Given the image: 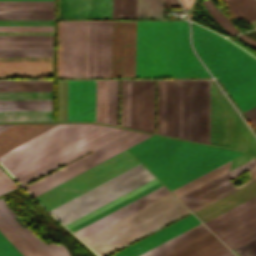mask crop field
<instances>
[{
	"label": "crop field",
	"instance_id": "crop-field-1",
	"mask_svg": "<svg viewBox=\"0 0 256 256\" xmlns=\"http://www.w3.org/2000/svg\"><path fill=\"white\" fill-rule=\"evenodd\" d=\"M109 129L91 124H59L0 155V162L17 179ZM150 136L113 128L17 180L24 185L93 151L25 186L35 197ZM138 164L126 150L35 198L49 211Z\"/></svg>",
	"mask_w": 256,
	"mask_h": 256
},
{
	"label": "crop field",
	"instance_id": "crop-field-2",
	"mask_svg": "<svg viewBox=\"0 0 256 256\" xmlns=\"http://www.w3.org/2000/svg\"><path fill=\"white\" fill-rule=\"evenodd\" d=\"M187 21H137L136 77L209 76L187 46Z\"/></svg>",
	"mask_w": 256,
	"mask_h": 256
},
{
	"label": "crop field",
	"instance_id": "crop-field-3",
	"mask_svg": "<svg viewBox=\"0 0 256 256\" xmlns=\"http://www.w3.org/2000/svg\"><path fill=\"white\" fill-rule=\"evenodd\" d=\"M129 150L170 191L241 154L156 136Z\"/></svg>",
	"mask_w": 256,
	"mask_h": 256
},
{
	"label": "crop field",
	"instance_id": "crop-field-4",
	"mask_svg": "<svg viewBox=\"0 0 256 256\" xmlns=\"http://www.w3.org/2000/svg\"><path fill=\"white\" fill-rule=\"evenodd\" d=\"M179 81H157V133L178 137ZM210 81H180L179 137L209 144Z\"/></svg>",
	"mask_w": 256,
	"mask_h": 256
},
{
	"label": "crop field",
	"instance_id": "crop-field-5",
	"mask_svg": "<svg viewBox=\"0 0 256 256\" xmlns=\"http://www.w3.org/2000/svg\"><path fill=\"white\" fill-rule=\"evenodd\" d=\"M190 44L212 74L218 77L242 112L256 106L254 57L192 22Z\"/></svg>",
	"mask_w": 256,
	"mask_h": 256
},
{
	"label": "crop field",
	"instance_id": "crop-field-6",
	"mask_svg": "<svg viewBox=\"0 0 256 256\" xmlns=\"http://www.w3.org/2000/svg\"><path fill=\"white\" fill-rule=\"evenodd\" d=\"M111 22H59L57 77H110Z\"/></svg>",
	"mask_w": 256,
	"mask_h": 256
},
{
	"label": "crop field",
	"instance_id": "crop-field-7",
	"mask_svg": "<svg viewBox=\"0 0 256 256\" xmlns=\"http://www.w3.org/2000/svg\"><path fill=\"white\" fill-rule=\"evenodd\" d=\"M186 212L170 194L82 241L103 256Z\"/></svg>",
	"mask_w": 256,
	"mask_h": 256
},
{
	"label": "crop field",
	"instance_id": "crop-field-8",
	"mask_svg": "<svg viewBox=\"0 0 256 256\" xmlns=\"http://www.w3.org/2000/svg\"><path fill=\"white\" fill-rule=\"evenodd\" d=\"M153 178L140 164L49 212L65 225Z\"/></svg>",
	"mask_w": 256,
	"mask_h": 256
},
{
	"label": "crop field",
	"instance_id": "crop-field-9",
	"mask_svg": "<svg viewBox=\"0 0 256 256\" xmlns=\"http://www.w3.org/2000/svg\"><path fill=\"white\" fill-rule=\"evenodd\" d=\"M210 144L256 155V139L211 81Z\"/></svg>",
	"mask_w": 256,
	"mask_h": 256
},
{
	"label": "crop field",
	"instance_id": "crop-field-10",
	"mask_svg": "<svg viewBox=\"0 0 256 256\" xmlns=\"http://www.w3.org/2000/svg\"><path fill=\"white\" fill-rule=\"evenodd\" d=\"M254 181H256V178L252 179L251 181L245 184H242L236 187L235 189L191 211L194 212ZM204 224L216 236H218L229 248H232V249H235L255 239L256 238V197Z\"/></svg>",
	"mask_w": 256,
	"mask_h": 256
},
{
	"label": "crop field",
	"instance_id": "crop-field-11",
	"mask_svg": "<svg viewBox=\"0 0 256 256\" xmlns=\"http://www.w3.org/2000/svg\"><path fill=\"white\" fill-rule=\"evenodd\" d=\"M120 126L154 133V81H122Z\"/></svg>",
	"mask_w": 256,
	"mask_h": 256
},
{
	"label": "crop field",
	"instance_id": "crop-field-12",
	"mask_svg": "<svg viewBox=\"0 0 256 256\" xmlns=\"http://www.w3.org/2000/svg\"><path fill=\"white\" fill-rule=\"evenodd\" d=\"M136 21L112 22L111 77H135Z\"/></svg>",
	"mask_w": 256,
	"mask_h": 256
},
{
	"label": "crop field",
	"instance_id": "crop-field-13",
	"mask_svg": "<svg viewBox=\"0 0 256 256\" xmlns=\"http://www.w3.org/2000/svg\"><path fill=\"white\" fill-rule=\"evenodd\" d=\"M247 171L251 179L256 177V158L228 172L226 175L231 180ZM226 175H223L178 199L191 210L235 188Z\"/></svg>",
	"mask_w": 256,
	"mask_h": 256
},
{
	"label": "crop field",
	"instance_id": "crop-field-14",
	"mask_svg": "<svg viewBox=\"0 0 256 256\" xmlns=\"http://www.w3.org/2000/svg\"><path fill=\"white\" fill-rule=\"evenodd\" d=\"M95 81H68V121H94Z\"/></svg>",
	"mask_w": 256,
	"mask_h": 256
},
{
	"label": "crop field",
	"instance_id": "crop-field-15",
	"mask_svg": "<svg viewBox=\"0 0 256 256\" xmlns=\"http://www.w3.org/2000/svg\"><path fill=\"white\" fill-rule=\"evenodd\" d=\"M168 194H170L169 191L163 186L133 201L132 203L104 216L103 218L77 230L76 232H74V234H76L82 240Z\"/></svg>",
	"mask_w": 256,
	"mask_h": 256
},
{
	"label": "crop field",
	"instance_id": "crop-field-16",
	"mask_svg": "<svg viewBox=\"0 0 256 256\" xmlns=\"http://www.w3.org/2000/svg\"><path fill=\"white\" fill-rule=\"evenodd\" d=\"M161 186L155 178L65 226L73 232Z\"/></svg>",
	"mask_w": 256,
	"mask_h": 256
},
{
	"label": "crop field",
	"instance_id": "crop-field-17",
	"mask_svg": "<svg viewBox=\"0 0 256 256\" xmlns=\"http://www.w3.org/2000/svg\"><path fill=\"white\" fill-rule=\"evenodd\" d=\"M199 223L191 214L112 256H137Z\"/></svg>",
	"mask_w": 256,
	"mask_h": 256
},
{
	"label": "crop field",
	"instance_id": "crop-field-18",
	"mask_svg": "<svg viewBox=\"0 0 256 256\" xmlns=\"http://www.w3.org/2000/svg\"><path fill=\"white\" fill-rule=\"evenodd\" d=\"M112 0H59V18H111Z\"/></svg>",
	"mask_w": 256,
	"mask_h": 256
},
{
	"label": "crop field",
	"instance_id": "crop-field-19",
	"mask_svg": "<svg viewBox=\"0 0 256 256\" xmlns=\"http://www.w3.org/2000/svg\"><path fill=\"white\" fill-rule=\"evenodd\" d=\"M0 214L41 256H70L63 245H45L31 229L20 226L14 219L16 214L8 208L3 198L0 199Z\"/></svg>",
	"mask_w": 256,
	"mask_h": 256
},
{
	"label": "crop field",
	"instance_id": "crop-field-20",
	"mask_svg": "<svg viewBox=\"0 0 256 256\" xmlns=\"http://www.w3.org/2000/svg\"><path fill=\"white\" fill-rule=\"evenodd\" d=\"M56 124L15 125L0 133V154Z\"/></svg>",
	"mask_w": 256,
	"mask_h": 256
},
{
	"label": "crop field",
	"instance_id": "crop-field-21",
	"mask_svg": "<svg viewBox=\"0 0 256 256\" xmlns=\"http://www.w3.org/2000/svg\"><path fill=\"white\" fill-rule=\"evenodd\" d=\"M208 233L201 223L139 256H165Z\"/></svg>",
	"mask_w": 256,
	"mask_h": 256
},
{
	"label": "crop field",
	"instance_id": "crop-field-22",
	"mask_svg": "<svg viewBox=\"0 0 256 256\" xmlns=\"http://www.w3.org/2000/svg\"><path fill=\"white\" fill-rule=\"evenodd\" d=\"M12 121H52V111L0 112V122Z\"/></svg>",
	"mask_w": 256,
	"mask_h": 256
},
{
	"label": "crop field",
	"instance_id": "crop-field-23",
	"mask_svg": "<svg viewBox=\"0 0 256 256\" xmlns=\"http://www.w3.org/2000/svg\"><path fill=\"white\" fill-rule=\"evenodd\" d=\"M0 232L24 255L39 256L35 250L0 215Z\"/></svg>",
	"mask_w": 256,
	"mask_h": 256
},
{
	"label": "crop field",
	"instance_id": "crop-field-24",
	"mask_svg": "<svg viewBox=\"0 0 256 256\" xmlns=\"http://www.w3.org/2000/svg\"><path fill=\"white\" fill-rule=\"evenodd\" d=\"M8 110H52V100L0 101V111Z\"/></svg>",
	"mask_w": 256,
	"mask_h": 256
},
{
	"label": "crop field",
	"instance_id": "crop-field-25",
	"mask_svg": "<svg viewBox=\"0 0 256 256\" xmlns=\"http://www.w3.org/2000/svg\"><path fill=\"white\" fill-rule=\"evenodd\" d=\"M231 166V161L200 176L199 178L171 191L177 198L192 191L193 189L209 182L210 180L228 172L229 168Z\"/></svg>",
	"mask_w": 256,
	"mask_h": 256
},
{
	"label": "crop field",
	"instance_id": "crop-field-26",
	"mask_svg": "<svg viewBox=\"0 0 256 256\" xmlns=\"http://www.w3.org/2000/svg\"><path fill=\"white\" fill-rule=\"evenodd\" d=\"M51 91V81H0V92Z\"/></svg>",
	"mask_w": 256,
	"mask_h": 256
},
{
	"label": "crop field",
	"instance_id": "crop-field-27",
	"mask_svg": "<svg viewBox=\"0 0 256 256\" xmlns=\"http://www.w3.org/2000/svg\"><path fill=\"white\" fill-rule=\"evenodd\" d=\"M225 3L237 20L243 17L248 21L256 19V0H226Z\"/></svg>",
	"mask_w": 256,
	"mask_h": 256
},
{
	"label": "crop field",
	"instance_id": "crop-field-28",
	"mask_svg": "<svg viewBox=\"0 0 256 256\" xmlns=\"http://www.w3.org/2000/svg\"><path fill=\"white\" fill-rule=\"evenodd\" d=\"M137 18H164V0H137Z\"/></svg>",
	"mask_w": 256,
	"mask_h": 256
},
{
	"label": "crop field",
	"instance_id": "crop-field-29",
	"mask_svg": "<svg viewBox=\"0 0 256 256\" xmlns=\"http://www.w3.org/2000/svg\"><path fill=\"white\" fill-rule=\"evenodd\" d=\"M119 81H108L107 123L118 126Z\"/></svg>",
	"mask_w": 256,
	"mask_h": 256
},
{
	"label": "crop field",
	"instance_id": "crop-field-30",
	"mask_svg": "<svg viewBox=\"0 0 256 256\" xmlns=\"http://www.w3.org/2000/svg\"><path fill=\"white\" fill-rule=\"evenodd\" d=\"M0 9L53 10V1H0Z\"/></svg>",
	"mask_w": 256,
	"mask_h": 256
},
{
	"label": "crop field",
	"instance_id": "crop-field-31",
	"mask_svg": "<svg viewBox=\"0 0 256 256\" xmlns=\"http://www.w3.org/2000/svg\"><path fill=\"white\" fill-rule=\"evenodd\" d=\"M107 81H96L95 121L106 123Z\"/></svg>",
	"mask_w": 256,
	"mask_h": 256
},
{
	"label": "crop field",
	"instance_id": "crop-field-32",
	"mask_svg": "<svg viewBox=\"0 0 256 256\" xmlns=\"http://www.w3.org/2000/svg\"><path fill=\"white\" fill-rule=\"evenodd\" d=\"M10 19H53V11L0 10V20Z\"/></svg>",
	"mask_w": 256,
	"mask_h": 256
},
{
	"label": "crop field",
	"instance_id": "crop-field-33",
	"mask_svg": "<svg viewBox=\"0 0 256 256\" xmlns=\"http://www.w3.org/2000/svg\"><path fill=\"white\" fill-rule=\"evenodd\" d=\"M136 18V0H113L112 18Z\"/></svg>",
	"mask_w": 256,
	"mask_h": 256
},
{
	"label": "crop field",
	"instance_id": "crop-field-34",
	"mask_svg": "<svg viewBox=\"0 0 256 256\" xmlns=\"http://www.w3.org/2000/svg\"><path fill=\"white\" fill-rule=\"evenodd\" d=\"M207 11L220 24V26L230 35L239 33L234 25L217 9L212 0L202 2Z\"/></svg>",
	"mask_w": 256,
	"mask_h": 256
},
{
	"label": "crop field",
	"instance_id": "crop-field-35",
	"mask_svg": "<svg viewBox=\"0 0 256 256\" xmlns=\"http://www.w3.org/2000/svg\"><path fill=\"white\" fill-rule=\"evenodd\" d=\"M218 240L216 237H214L211 233L182 247L181 249L167 255V256H187L190 253Z\"/></svg>",
	"mask_w": 256,
	"mask_h": 256
},
{
	"label": "crop field",
	"instance_id": "crop-field-36",
	"mask_svg": "<svg viewBox=\"0 0 256 256\" xmlns=\"http://www.w3.org/2000/svg\"><path fill=\"white\" fill-rule=\"evenodd\" d=\"M0 56H52V49H0Z\"/></svg>",
	"mask_w": 256,
	"mask_h": 256
},
{
	"label": "crop field",
	"instance_id": "crop-field-37",
	"mask_svg": "<svg viewBox=\"0 0 256 256\" xmlns=\"http://www.w3.org/2000/svg\"><path fill=\"white\" fill-rule=\"evenodd\" d=\"M8 99H52V92L0 93V100H8Z\"/></svg>",
	"mask_w": 256,
	"mask_h": 256
},
{
	"label": "crop field",
	"instance_id": "crop-field-38",
	"mask_svg": "<svg viewBox=\"0 0 256 256\" xmlns=\"http://www.w3.org/2000/svg\"><path fill=\"white\" fill-rule=\"evenodd\" d=\"M0 42H52V35H0Z\"/></svg>",
	"mask_w": 256,
	"mask_h": 256
},
{
	"label": "crop field",
	"instance_id": "crop-field-39",
	"mask_svg": "<svg viewBox=\"0 0 256 256\" xmlns=\"http://www.w3.org/2000/svg\"><path fill=\"white\" fill-rule=\"evenodd\" d=\"M53 26H0V31H52Z\"/></svg>",
	"mask_w": 256,
	"mask_h": 256
},
{
	"label": "crop field",
	"instance_id": "crop-field-40",
	"mask_svg": "<svg viewBox=\"0 0 256 256\" xmlns=\"http://www.w3.org/2000/svg\"><path fill=\"white\" fill-rule=\"evenodd\" d=\"M0 48H52V43H0Z\"/></svg>",
	"mask_w": 256,
	"mask_h": 256
},
{
	"label": "crop field",
	"instance_id": "crop-field-41",
	"mask_svg": "<svg viewBox=\"0 0 256 256\" xmlns=\"http://www.w3.org/2000/svg\"><path fill=\"white\" fill-rule=\"evenodd\" d=\"M0 25H53V20H11V21H0Z\"/></svg>",
	"mask_w": 256,
	"mask_h": 256
},
{
	"label": "crop field",
	"instance_id": "crop-field-42",
	"mask_svg": "<svg viewBox=\"0 0 256 256\" xmlns=\"http://www.w3.org/2000/svg\"><path fill=\"white\" fill-rule=\"evenodd\" d=\"M235 250L242 256H256V239Z\"/></svg>",
	"mask_w": 256,
	"mask_h": 256
},
{
	"label": "crop field",
	"instance_id": "crop-field-43",
	"mask_svg": "<svg viewBox=\"0 0 256 256\" xmlns=\"http://www.w3.org/2000/svg\"><path fill=\"white\" fill-rule=\"evenodd\" d=\"M0 246L10 256H23L1 233H0Z\"/></svg>",
	"mask_w": 256,
	"mask_h": 256
},
{
	"label": "crop field",
	"instance_id": "crop-field-44",
	"mask_svg": "<svg viewBox=\"0 0 256 256\" xmlns=\"http://www.w3.org/2000/svg\"><path fill=\"white\" fill-rule=\"evenodd\" d=\"M16 186L3 172L0 173V194L14 189Z\"/></svg>",
	"mask_w": 256,
	"mask_h": 256
},
{
	"label": "crop field",
	"instance_id": "crop-field-45",
	"mask_svg": "<svg viewBox=\"0 0 256 256\" xmlns=\"http://www.w3.org/2000/svg\"><path fill=\"white\" fill-rule=\"evenodd\" d=\"M244 114L256 129V107L244 112Z\"/></svg>",
	"mask_w": 256,
	"mask_h": 256
},
{
	"label": "crop field",
	"instance_id": "crop-field-46",
	"mask_svg": "<svg viewBox=\"0 0 256 256\" xmlns=\"http://www.w3.org/2000/svg\"><path fill=\"white\" fill-rule=\"evenodd\" d=\"M165 8H181L177 0H165Z\"/></svg>",
	"mask_w": 256,
	"mask_h": 256
},
{
	"label": "crop field",
	"instance_id": "crop-field-47",
	"mask_svg": "<svg viewBox=\"0 0 256 256\" xmlns=\"http://www.w3.org/2000/svg\"><path fill=\"white\" fill-rule=\"evenodd\" d=\"M185 10H189L191 5H192V2L193 0H181Z\"/></svg>",
	"mask_w": 256,
	"mask_h": 256
},
{
	"label": "crop field",
	"instance_id": "crop-field-48",
	"mask_svg": "<svg viewBox=\"0 0 256 256\" xmlns=\"http://www.w3.org/2000/svg\"><path fill=\"white\" fill-rule=\"evenodd\" d=\"M241 38H243L244 40H246L247 42H249V43H251V44H253V45H255L256 46V41L255 40H253V39H251V38H249V37H247V36H245V35H243V34H241V35H239Z\"/></svg>",
	"mask_w": 256,
	"mask_h": 256
},
{
	"label": "crop field",
	"instance_id": "crop-field-49",
	"mask_svg": "<svg viewBox=\"0 0 256 256\" xmlns=\"http://www.w3.org/2000/svg\"><path fill=\"white\" fill-rule=\"evenodd\" d=\"M11 126H13V125H0V132L11 127Z\"/></svg>",
	"mask_w": 256,
	"mask_h": 256
},
{
	"label": "crop field",
	"instance_id": "crop-field-50",
	"mask_svg": "<svg viewBox=\"0 0 256 256\" xmlns=\"http://www.w3.org/2000/svg\"><path fill=\"white\" fill-rule=\"evenodd\" d=\"M0 256H9V255L0 247Z\"/></svg>",
	"mask_w": 256,
	"mask_h": 256
},
{
	"label": "crop field",
	"instance_id": "crop-field-51",
	"mask_svg": "<svg viewBox=\"0 0 256 256\" xmlns=\"http://www.w3.org/2000/svg\"><path fill=\"white\" fill-rule=\"evenodd\" d=\"M0 172H1V170H0Z\"/></svg>",
	"mask_w": 256,
	"mask_h": 256
}]
</instances>
